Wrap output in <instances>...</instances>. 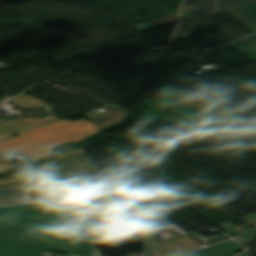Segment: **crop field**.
<instances>
[{
	"instance_id": "obj_1",
	"label": "crop field",
	"mask_w": 256,
	"mask_h": 256,
	"mask_svg": "<svg viewBox=\"0 0 256 256\" xmlns=\"http://www.w3.org/2000/svg\"><path fill=\"white\" fill-rule=\"evenodd\" d=\"M82 149L62 154L11 177L0 179V188L29 186L33 203L82 197L76 180L101 176Z\"/></svg>"
},
{
	"instance_id": "obj_2",
	"label": "crop field",
	"mask_w": 256,
	"mask_h": 256,
	"mask_svg": "<svg viewBox=\"0 0 256 256\" xmlns=\"http://www.w3.org/2000/svg\"><path fill=\"white\" fill-rule=\"evenodd\" d=\"M41 248L91 256L93 242L0 223V255L41 256Z\"/></svg>"
},
{
	"instance_id": "obj_3",
	"label": "crop field",
	"mask_w": 256,
	"mask_h": 256,
	"mask_svg": "<svg viewBox=\"0 0 256 256\" xmlns=\"http://www.w3.org/2000/svg\"><path fill=\"white\" fill-rule=\"evenodd\" d=\"M98 132L100 130L84 119L76 122L66 120L0 143V153L18 152L35 161L54 152L50 149L52 147L69 141L77 142Z\"/></svg>"
},
{
	"instance_id": "obj_4",
	"label": "crop field",
	"mask_w": 256,
	"mask_h": 256,
	"mask_svg": "<svg viewBox=\"0 0 256 256\" xmlns=\"http://www.w3.org/2000/svg\"><path fill=\"white\" fill-rule=\"evenodd\" d=\"M86 211L88 210L83 198L37 205L4 207L0 208V222L93 241V237L65 232L60 227L59 218Z\"/></svg>"
},
{
	"instance_id": "obj_5",
	"label": "crop field",
	"mask_w": 256,
	"mask_h": 256,
	"mask_svg": "<svg viewBox=\"0 0 256 256\" xmlns=\"http://www.w3.org/2000/svg\"><path fill=\"white\" fill-rule=\"evenodd\" d=\"M212 24L223 36L225 43L256 33V24L229 9L209 16L191 20L182 37L191 35L198 25Z\"/></svg>"
},
{
	"instance_id": "obj_6",
	"label": "crop field",
	"mask_w": 256,
	"mask_h": 256,
	"mask_svg": "<svg viewBox=\"0 0 256 256\" xmlns=\"http://www.w3.org/2000/svg\"><path fill=\"white\" fill-rule=\"evenodd\" d=\"M10 101L22 108L44 107L47 117L44 119L25 118L14 119L10 121L0 119V142L13 138L17 133L28 131L59 120V118L53 114L52 106L50 104L36 99L30 95L19 96Z\"/></svg>"
},
{
	"instance_id": "obj_7",
	"label": "crop field",
	"mask_w": 256,
	"mask_h": 256,
	"mask_svg": "<svg viewBox=\"0 0 256 256\" xmlns=\"http://www.w3.org/2000/svg\"><path fill=\"white\" fill-rule=\"evenodd\" d=\"M129 114L130 113L117 106L107 109L105 113L94 117V119L89 122L103 131L122 124Z\"/></svg>"
},
{
	"instance_id": "obj_8",
	"label": "crop field",
	"mask_w": 256,
	"mask_h": 256,
	"mask_svg": "<svg viewBox=\"0 0 256 256\" xmlns=\"http://www.w3.org/2000/svg\"><path fill=\"white\" fill-rule=\"evenodd\" d=\"M33 204L29 188L0 189V207Z\"/></svg>"
},
{
	"instance_id": "obj_9",
	"label": "crop field",
	"mask_w": 256,
	"mask_h": 256,
	"mask_svg": "<svg viewBox=\"0 0 256 256\" xmlns=\"http://www.w3.org/2000/svg\"><path fill=\"white\" fill-rule=\"evenodd\" d=\"M211 12H214V0H186L182 5L181 21Z\"/></svg>"
},
{
	"instance_id": "obj_10",
	"label": "crop field",
	"mask_w": 256,
	"mask_h": 256,
	"mask_svg": "<svg viewBox=\"0 0 256 256\" xmlns=\"http://www.w3.org/2000/svg\"><path fill=\"white\" fill-rule=\"evenodd\" d=\"M230 45L251 56L256 51V35L241 39Z\"/></svg>"
},
{
	"instance_id": "obj_11",
	"label": "crop field",
	"mask_w": 256,
	"mask_h": 256,
	"mask_svg": "<svg viewBox=\"0 0 256 256\" xmlns=\"http://www.w3.org/2000/svg\"><path fill=\"white\" fill-rule=\"evenodd\" d=\"M176 22H178V14L174 15V16L167 17V18L155 20V21H152L149 23H145L142 25H138L136 27H138L139 29H141L143 31H147V30H151V29H154L157 27H161V26L176 23Z\"/></svg>"
},
{
	"instance_id": "obj_12",
	"label": "crop field",
	"mask_w": 256,
	"mask_h": 256,
	"mask_svg": "<svg viewBox=\"0 0 256 256\" xmlns=\"http://www.w3.org/2000/svg\"><path fill=\"white\" fill-rule=\"evenodd\" d=\"M244 217L249 219V220L250 219L255 220L256 219V212L252 213L250 215L244 216ZM255 238H256V229H250V230L240 234L235 239L238 240L243 245H246V244L253 243L255 241Z\"/></svg>"
},
{
	"instance_id": "obj_13",
	"label": "crop field",
	"mask_w": 256,
	"mask_h": 256,
	"mask_svg": "<svg viewBox=\"0 0 256 256\" xmlns=\"http://www.w3.org/2000/svg\"><path fill=\"white\" fill-rule=\"evenodd\" d=\"M213 248L218 250L219 252H221L224 255L232 254V253H235V252H238V251L244 249L232 240H229L224 243L213 246Z\"/></svg>"
},
{
	"instance_id": "obj_14",
	"label": "crop field",
	"mask_w": 256,
	"mask_h": 256,
	"mask_svg": "<svg viewBox=\"0 0 256 256\" xmlns=\"http://www.w3.org/2000/svg\"><path fill=\"white\" fill-rule=\"evenodd\" d=\"M256 0H217V11L255 2Z\"/></svg>"
},
{
	"instance_id": "obj_15",
	"label": "crop field",
	"mask_w": 256,
	"mask_h": 256,
	"mask_svg": "<svg viewBox=\"0 0 256 256\" xmlns=\"http://www.w3.org/2000/svg\"><path fill=\"white\" fill-rule=\"evenodd\" d=\"M233 9L256 22V2Z\"/></svg>"
},
{
	"instance_id": "obj_16",
	"label": "crop field",
	"mask_w": 256,
	"mask_h": 256,
	"mask_svg": "<svg viewBox=\"0 0 256 256\" xmlns=\"http://www.w3.org/2000/svg\"><path fill=\"white\" fill-rule=\"evenodd\" d=\"M237 220V218L228 221L224 224L219 225V227H221L223 230H225L228 234H230L232 237L235 236L236 234L240 233L241 231L247 229L246 227L242 226V225H237L235 226L234 224H232L231 222Z\"/></svg>"
},
{
	"instance_id": "obj_17",
	"label": "crop field",
	"mask_w": 256,
	"mask_h": 256,
	"mask_svg": "<svg viewBox=\"0 0 256 256\" xmlns=\"http://www.w3.org/2000/svg\"><path fill=\"white\" fill-rule=\"evenodd\" d=\"M182 256H223V255L217 252L216 250H214L213 248L209 247V248L202 249V250L192 252Z\"/></svg>"
},
{
	"instance_id": "obj_18",
	"label": "crop field",
	"mask_w": 256,
	"mask_h": 256,
	"mask_svg": "<svg viewBox=\"0 0 256 256\" xmlns=\"http://www.w3.org/2000/svg\"><path fill=\"white\" fill-rule=\"evenodd\" d=\"M196 238L199 239L201 242H203L206 245L212 244V243H215V242H218V241H222V240H225V239H229V237H227L226 235H223V234H218V235H215V236L210 237V238H203V237H200V236H196Z\"/></svg>"
},
{
	"instance_id": "obj_19",
	"label": "crop field",
	"mask_w": 256,
	"mask_h": 256,
	"mask_svg": "<svg viewBox=\"0 0 256 256\" xmlns=\"http://www.w3.org/2000/svg\"><path fill=\"white\" fill-rule=\"evenodd\" d=\"M189 22L188 21H184V22H181L180 25L178 26L175 34H174V37H173V40H172V44L175 43V41L178 39V37L180 36V34L182 33V31L184 30V28L186 27L187 23Z\"/></svg>"
},
{
	"instance_id": "obj_20",
	"label": "crop field",
	"mask_w": 256,
	"mask_h": 256,
	"mask_svg": "<svg viewBox=\"0 0 256 256\" xmlns=\"http://www.w3.org/2000/svg\"><path fill=\"white\" fill-rule=\"evenodd\" d=\"M14 165L12 164H4V163H0V173H5L6 171H8L10 168H12Z\"/></svg>"
},
{
	"instance_id": "obj_21",
	"label": "crop field",
	"mask_w": 256,
	"mask_h": 256,
	"mask_svg": "<svg viewBox=\"0 0 256 256\" xmlns=\"http://www.w3.org/2000/svg\"><path fill=\"white\" fill-rule=\"evenodd\" d=\"M102 253H103V249H98V248H96V249H95L94 256H102Z\"/></svg>"
},
{
	"instance_id": "obj_22",
	"label": "crop field",
	"mask_w": 256,
	"mask_h": 256,
	"mask_svg": "<svg viewBox=\"0 0 256 256\" xmlns=\"http://www.w3.org/2000/svg\"><path fill=\"white\" fill-rule=\"evenodd\" d=\"M7 159H10V158L5 157V156H3V155H0V162L5 161V160H7Z\"/></svg>"
},
{
	"instance_id": "obj_23",
	"label": "crop field",
	"mask_w": 256,
	"mask_h": 256,
	"mask_svg": "<svg viewBox=\"0 0 256 256\" xmlns=\"http://www.w3.org/2000/svg\"><path fill=\"white\" fill-rule=\"evenodd\" d=\"M235 254H232V255H227V256H234Z\"/></svg>"
}]
</instances>
